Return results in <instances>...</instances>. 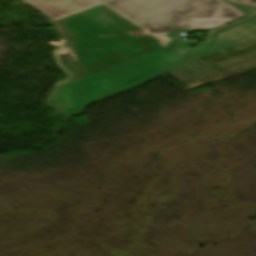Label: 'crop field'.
<instances>
[{
  "mask_svg": "<svg viewBox=\"0 0 256 256\" xmlns=\"http://www.w3.org/2000/svg\"><path fill=\"white\" fill-rule=\"evenodd\" d=\"M53 24L64 41L58 54L63 66L73 75L56 88L47 103L62 114L71 107L69 82L164 47L160 41L103 4ZM65 52L80 70H70L63 58ZM55 95L62 98L56 102Z\"/></svg>",
  "mask_w": 256,
  "mask_h": 256,
  "instance_id": "8a807250",
  "label": "crop field"
},
{
  "mask_svg": "<svg viewBox=\"0 0 256 256\" xmlns=\"http://www.w3.org/2000/svg\"><path fill=\"white\" fill-rule=\"evenodd\" d=\"M107 4L165 42L172 40L164 34L207 19L213 12L231 6L224 0H112Z\"/></svg>",
  "mask_w": 256,
  "mask_h": 256,
  "instance_id": "ac0d7876",
  "label": "crop field"
},
{
  "mask_svg": "<svg viewBox=\"0 0 256 256\" xmlns=\"http://www.w3.org/2000/svg\"><path fill=\"white\" fill-rule=\"evenodd\" d=\"M157 71L159 70L154 68L122 83L102 71L92 76L71 82L69 98L72 102V107L65 113V116L70 118L83 103L130 86Z\"/></svg>",
  "mask_w": 256,
  "mask_h": 256,
  "instance_id": "34b2d1b8",
  "label": "crop field"
},
{
  "mask_svg": "<svg viewBox=\"0 0 256 256\" xmlns=\"http://www.w3.org/2000/svg\"><path fill=\"white\" fill-rule=\"evenodd\" d=\"M256 37V21L248 17L211 34L209 43L201 45L193 54L199 58Z\"/></svg>",
  "mask_w": 256,
  "mask_h": 256,
  "instance_id": "412701ff",
  "label": "crop field"
},
{
  "mask_svg": "<svg viewBox=\"0 0 256 256\" xmlns=\"http://www.w3.org/2000/svg\"><path fill=\"white\" fill-rule=\"evenodd\" d=\"M52 20L101 4L97 0H24Z\"/></svg>",
  "mask_w": 256,
  "mask_h": 256,
  "instance_id": "f4fd0767",
  "label": "crop field"
},
{
  "mask_svg": "<svg viewBox=\"0 0 256 256\" xmlns=\"http://www.w3.org/2000/svg\"><path fill=\"white\" fill-rule=\"evenodd\" d=\"M190 50L176 44L172 43L166 47L159 49L157 51L151 52L149 54L141 56L143 59L148 61L153 66L163 69L165 66L180 60L184 55H186Z\"/></svg>",
  "mask_w": 256,
  "mask_h": 256,
  "instance_id": "dd49c442",
  "label": "crop field"
},
{
  "mask_svg": "<svg viewBox=\"0 0 256 256\" xmlns=\"http://www.w3.org/2000/svg\"><path fill=\"white\" fill-rule=\"evenodd\" d=\"M152 68V65L138 57L103 71L121 82Z\"/></svg>",
  "mask_w": 256,
  "mask_h": 256,
  "instance_id": "e52e79f7",
  "label": "crop field"
},
{
  "mask_svg": "<svg viewBox=\"0 0 256 256\" xmlns=\"http://www.w3.org/2000/svg\"><path fill=\"white\" fill-rule=\"evenodd\" d=\"M170 74L174 75L178 79H190V78H200V77H211L213 73L217 72L215 70H204L201 67L184 65L175 69L168 71Z\"/></svg>",
  "mask_w": 256,
  "mask_h": 256,
  "instance_id": "d8731c3e",
  "label": "crop field"
},
{
  "mask_svg": "<svg viewBox=\"0 0 256 256\" xmlns=\"http://www.w3.org/2000/svg\"><path fill=\"white\" fill-rule=\"evenodd\" d=\"M243 15H245L243 12H241L240 10H238L235 7H232L230 9H227L225 11L218 13L210 28L224 25V24L229 23Z\"/></svg>",
  "mask_w": 256,
  "mask_h": 256,
  "instance_id": "5a996713",
  "label": "crop field"
},
{
  "mask_svg": "<svg viewBox=\"0 0 256 256\" xmlns=\"http://www.w3.org/2000/svg\"><path fill=\"white\" fill-rule=\"evenodd\" d=\"M184 64H189V65H197V66H201L204 69H212L211 67H209L208 65L204 64L203 62H201L200 60H198L197 58L191 56L190 54L186 55L182 60H180L178 63L168 67L165 69V71L171 69V68H175Z\"/></svg>",
  "mask_w": 256,
  "mask_h": 256,
  "instance_id": "3316defc",
  "label": "crop field"
},
{
  "mask_svg": "<svg viewBox=\"0 0 256 256\" xmlns=\"http://www.w3.org/2000/svg\"><path fill=\"white\" fill-rule=\"evenodd\" d=\"M162 71H163V70H161L160 72H158V73H156V74H154V75H152V76H150V77H148V78H146V79H144V80H142V81H140V82H138V83H136V84H134V85H132V86H130V87L124 88V89H122V90L113 92V93L108 94V95H106V96H104V97H101V98H99V99H96V100H93V101H91V102L85 103V104H83V105L78 109V111H77L75 114H80L81 111L84 109V107H85L86 105H89V104H91V103H93V102H95V101H98V100H100V99L106 98V97L111 96V95H113V94L119 93V92L124 91V90H126V89H129V88H131V87L137 86V85H139V84H142V83H144V82H146V81H148V80H150V79H152V78H154V77L160 75V74L162 73Z\"/></svg>",
  "mask_w": 256,
  "mask_h": 256,
  "instance_id": "28ad6ade",
  "label": "crop field"
},
{
  "mask_svg": "<svg viewBox=\"0 0 256 256\" xmlns=\"http://www.w3.org/2000/svg\"><path fill=\"white\" fill-rule=\"evenodd\" d=\"M232 7V6H231ZM230 8V7H229ZM227 9V8H226ZM225 10V9H224ZM222 11V10H221ZM220 12V11H219ZM218 13V12H215L211 18L207 19V20H204V21H201L199 23H196V24H193L191 26H188V27H185L183 29H208L215 14Z\"/></svg>",
  "mask_w": 256,
  "mask_h": 256,
  "instance_id": "d1516ede",
  "label": "crop field"
},
{
  "mask_svg": "<svg viewBox=\"0 0 256 256\" xmlns=\"http://www.w3.org/2000/svg\"><path fill=\"white\" fill-rule=\"evenodd\" d=\"M232 4L238 7L239 9H241L243 12H245L248 15L256 11V7L254 6L240 5V4H234V3Z\"/></svg>",
  "mask_w": 256,
  "mask_h": 256,
  "instance_id": "22f410ed",
  "label": "crop field"
},
{
  "mask_svg": "<svg viewBox=\"0 0 256 256\" xmlns=\"http://www.w3.org/2000/svg\"><path fill=\"white\" fill-rule=\"evenodd\" d=\"M234 3L247 4L256 6V0H228Z\"/></svg>",
  "mask_w": 256,
  "mask_h": 256,
  "instance_id": "cbeb9de0",
  "label": "crop field"
},
{
  "mask_svg": "<svg viewBox=\"0 0 256 256\" xmlns=\"http://www.w3.org/2000/svg\"><path fill=\"white\" fill-rule=\"evenodd\" d=\"M219 76H222V75L219 74V75H217V76H214V77H212V78H210V79H207V80H205V81H202V82H200V83H203V82H206V81H208V80L217 78V77H219ZM200 83H196V82L191 81V82L187 83V85H189L190 87H192V86H195V85L200 84Z\"/></svg>",
  "mask_w": 256,
  "mask_h": 256,
  "instance_id": "5142ce71",
  "label": "crop field"
},
{
  "mask_svg": "<svg viewBox=\"0 0 256 256\" xmlns=\"http://www.w3.org/2000/svg\"><path fill=\"white\" fill-rule=\"evenodd\" d=\"M253 19H255L256 20V14L255 15H253V16H251Z\"/></svg>",
  "mask_w": 256,
  "mask_h": 256,
  "instance_id": "d9b57169",
  "label": "crop field"
},
{
  "mask_svg": "<svg viewBox=\"0 0 256 256\" xmlns=\"http://www.w3.org/2000/svg\"><path fill=\"white\" fill-rule=\"evenodd\" d=\"M103 1H105V2H106V1H109V0H103Z\"/></svg>",
  "mask_w": 256,
  "mask_h": 256,
  "instance_id": "733c2abd",
  "label": "crop field"
}]
</instances>
